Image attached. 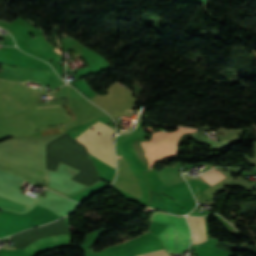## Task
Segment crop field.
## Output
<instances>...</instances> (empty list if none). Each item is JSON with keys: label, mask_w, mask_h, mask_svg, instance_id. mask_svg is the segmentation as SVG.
Masks as SVG:
<instances>
[{"label": "crop field", "mask_w": 256, "mask_h": 256, "mask_svg": "<svg viewBox=\"0 0 256 256\" xmlns=\"http://www.w3.org/2000/svg\"><path fill=\"white\" fill-rule=\"evenodd\" d=\"M113 132V129L98 121L74 140L84 144L96 158L115 168Z\"/></svg>", "instance_id": "1"}, {"label": "crop field", "mask_w": 256, "mask_h": 256, "mask_svg": "<svg viewBox=\"0 0 256 256\" xmlns=\"http://www.w3.org/2000/svg\"><path fill=\"white\" fill-rule=\"evenodd\" d=\"M151 221L170 224L158 235L168 253L182 252L186 249L190 240V230L184 218L155 212Z\"/></svg>", "instance_id": "2"}, {"label": "crop field", "mask_w": 256, "mask_h": 256, "mask_svg": "<svg viewBox=\"0 0 256 256\" xmlns=\"http://www.w3.org/2000/svg\"><path fill=\"white\" fill-rule=\"evenodd\" d=\"M196 130L187 128H178V130L172 134L154 140L152 142H140L146 153L145 156L148 159L149 169L152 168L155 161L158 159L176 154V142L184 133H191Z\"/></svg>", "instance_id": "3"}, {"label": "crop field", "mask_w": 256, "mask_h": 256, "mask_svg": "<svg viewBox=\"0 0 256 256\" xmlns=\"http://www.w3.org/2000/svg\"><path fill=\"white\" fill-rule=\"evenodd\" d=\"M25 183L26 182H24L23 186L25 185ZM0 195L29 204V205L40 200L34 197L27 196L25 194H21L20 190H17L13 187L7 186L2 183H0ZM2 196H0V207L14 209L18 211H25L30 207L29 205H26Z\"/></svg>", "instance_id": "4"}, {"label": "crop field", "mask_w": 256, "mask_h": 256, "mask_svg": "<svg viewBox=\"0 0 256 256\" xmlns=\"http://www.w3.org/2000/svg\"><path fill=\"white\" fill-rule=\"evenodd\" d=\"M193 234V244L205 241V225L203 217H187Z\"/></svg>", "instance_id": "5"}, {"label": "crop field", "mask_w": 256, "mask_h": 256, "mask_svg": "<svg viewBox=\"0 0 256 256\" xmlns=\"http://www.w3.org/2000/svg\"><path fill=\"white\" fill-rule=\"evenodd\" d=\"M67 239H69V235L40 239V240L34 242L33 244H31L27 249H25V251L30 253L35 247H37L43 243L61 241V240H67Z\"/></svg>", "instance_id": "6"}, {"label": "crop field", "mask_w": 256, "mask_h": 256, "mask_svg": "<svg viewBox=\"0 0 256 256\" xmlns=\"http://www.w3.org/2000/svg\"><path fill=\"white\" fill-rule=\"evenodd\" d=\"M137 256H168V254L165 251V249H162V250L149 252V253H145V254H141V255H137Z\"/></svg>", "instance_id": "7"}, {"label": "crop field", "mask_w": 256, "mask_h": 256, "mask_svg": "<svg viewBox=\"0 0 256 256\" xmlns=\"http://www.w3.org/2000/svg\"><path fill=\"white\" fill-rule=\"evenodd\" d=\"M203 177H205L204 175H202ZM206 178V177H205ZM207 179V178H206ZM208 180V179H207ZM209 182H211L210 180H208ZM212 183V182H211ZM213 184V183H212ZM214 185V184H213Z\"/></svg>", "instance_id": "8"}, {"label": "crop field", "mask_w": 256, "mask_h": 256, "mask_svg": "<svg viewBox=\"0 0 256 256\" xmlns=\"http://www.w3.org/2000/svg\"><path fill=\"white\" fill-rule=\"evenodd\" d=\"M120 157H122V156H117V158H120Z\"/></svg>", "instance_id": "9"}, {"label": "crop field", "mask_w": 256, "mask_h": 256, "mask_svg": "<svg viewBox=\"0 0 256 256\" xmlns=\"http://www.w3.org/2000/svg\"><path fill=\"white\" fill-rule=\"evenodd\" d=\"M9 249H12V247H10Z\"/></svg>", "instance_id": "10"}, {"label": "crop field", "mask_w": 256, "mask_h": 256, "mask_svg": "<svg viewBox=\"0 0 256 256\" xmlns=\"http://www.w3.org/2000/svg\"><path fill=\"white\" fill-rule=\"evenodd\" d=\"M126 111H129V110H126ZM129 112H131V111H129Z\"/></svg>", "instance_id": "11"}, {"label": "crop field", "mask_w": 256, "mask_h": 256, "mask_svg": "<svg viewBox=\"0 0 256 256\" xmlns=\"http://www.w3.org/2000/svg\"><path fill=\"white\" fill-rule=\"evenodd\" d=\"M59 106V105H58Z\"/></svg>", "instance_id": "12"}]
</instances>
